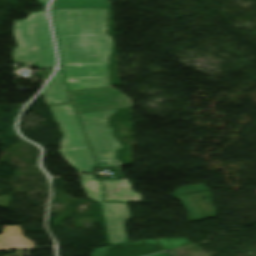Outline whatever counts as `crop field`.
I'll use <instances>...</instances> for the list:
<instances>
[{
  "instance_id": "8a807250",
  "label": "crop field",
  "mask_w": 256,
  "mask_h": 256,
  "mask_svg": "<svg viewBox=\"0 0 256 256\" xmlns=\"http://www.w3.org/2000/svg\"><path fill=\"white\" fill-rule=\"evenodd\" d=\"M68 90L110 86L106 8L52 9Z\"/></svg>"
},
{
  "instance_id": "ac0d7876",
  "label": "crop field",
  "mask_w": 256,
  "mask_h": 256,
  "mask_svg": "<svg viewBox=\"0 0 256 256\" xmlns=\"http://www.w3.org/2000/svg\"><path fill=\"white\" fill-rule=\"evenodd\" d=\"M14 32L18 43L13 49L16 63L37 61L41 69L55 66L45 11L32 12L28 18L15 21Z\"/></svg>"
},
{
  "instance_id": "34b2d1b8",
  "label": "crop field",
  "mask_w": 256,
  "mask_h": 256,
  "mask_svg": "<svg viewBox=\"0 0 256 256\" xmlns=\"http://www.w3.org/2000/svg\"><path fill=\"white\" fill-rule=\"evenodd\" d=\"M114 111L116 109L78 114L93 149L98 167L118 165L116 151L121 146L112 135L113 128L107 124V118ZM98 160L115 161L98 162Z\"/></svg>"
},
{
  "instance_id": "412701ff",
  "label": "crop field",
  "mask_w": 256,
  "mask_h": 256,
  "mask_svg": "<svg viewBox=\"0 0 256 256\" xmlns=\"http://www.w3.org/2000/svg\"><path fill=\"white\" fill-rule=\"evenodd\" d=\"M68 93L77 113L131 106V100L113 87Z\"/></svg>"
},
{
  "instance_id": "f4fd0767",
  "label": "crop field",
  "mask_w": 256,
  "mask_h": 256,
  "mask_svg": "<svg viewBox=\"0 0 256 256\" xmlns=\"http://www.w3.org/2000/svg\"><path fill=\"white\" fill-rule=\"evenodd\" d=\"M61 129L63 150L88 147L75 113L70 104L49 106Z\"/></svg>"
},
{
  "instance_id": "dd49c442",
  "label": "crop field",
  "mask_w": 256,
  "mask_h": 256,
  "mask_svg": "<svg viewBox=\"0 0 256 256\" xmlns=\"http://www.w3.org/2000/svg\"><path fill=\"white\" fill-rule=\"evenodd\" d=\"M206 190L207 192L177 196L176 194ZM179 199L188 211L189 221L216 216V210L211 202V193L204 184L181 187L173 195ZM207 197V199H202Z\"/></svg>"
},
{
  "instance_id": "e52e79f7",
  "label": "crop field",
  "mask_w": 256,
  "mask_h": 256,
  "mask_svg": "<svg viewBox=\"0 0 256 256\" xmlns=\"http://www.w3.org/2000/svg\"><path fill=\"white\" fill-rule=\"evenodd\" d=\"M108 235L112 244L129 242L124 231V223L130 218L125 203L100 202Z\"/></svg>"
},
{
  "instance_id": "d8731c3e",
  "label": "crop field",
  "mask_w": 256,
  "mask_h": 256,
  "mask_svg": "<svg viewBox=\"0 0 256 256\" xmlns=\"http://www.w3.org/2000/svg\"><path fill=\"white\" fill-rule=\"evenodd\" d=\"M163 249L155 240L147 239L93 249L92 256H144Z\"/></svg>"
},
{
  "instance_id": "5a996713",
  "label": "crop field",
  "mask_w": 256,
  "mask_h": 256,
  "mask_svg": "<svg viewBox=\"0 0 256 256\" xmlns=\"http://www.w3.org/2000/svg\"><path fill=\"white\" fill-rule=\"evenodd\" d=\"M101 181L105 189L104 201H142L141 196L131 190L127 179Z\"/></svg>"
},
{
  "instance_id": "3316defc",
  "label": "crop field",
  "mask_w": 256,
  "mask_h": 256,
  "mask_svg": "<svg viewBox=\"0 0 256 256\" xmlns=\"http://www.w3.org/2000/svg\"><path fill=\"white\" fill-rule=\"evenodd\" d=\"M31 247H35L34 243L23 236L21 225L4 226V231L0 235V249Z\"/></svg>"
},
{
  "instance_id": "28ad6ade",
  "label": "crop field",
  "mask_w": 256,
  "mask_h": 256,
  "mask_svg": "<svg viewBox=\"0 0 256 256\" xmlns=\"http://www.w3.org/2000/svg\"><path fill=\"white\" fill-rule=\"evenodd\" d=\"M60 153L78 172H91L92 167L96 165L89 148L60 151Z\"/></svg>"
},
{
  "instance_id": "d1516ede",
  "label": "crop field",
  "mask_w": 256,
  "mask_h": 256,
  "mask_svg": "<svg viewBox=\"0 0 256 256\" xmlns=\"http://www.w3.org/2000/svg\"><path fill=\"white\" fill-rule=\"evenodd\" d=\"M49 104L69 102L66 96L65 88L62 83L61 71L57 70L53 79L43 90Z\"/></svg>"
},
{
  "instance_id": "22f410ed",
  "label": "crop field",
  "mask_w": 256,
  "mask_h": 256,
  "mask_svg": "<svg viewBox=\"0 0 256 256\" xmlns=\"http://www.w3.org/2000/svg\"><path fill=\"white\" fill-rule=\"evenodd\" d=\"M108 0H53L51 8L109 7Z\"/></svg>"
},
{
  "instance_id": "cbeb9de0",
  "label": "crop field",
  "mask_w": 256,
  "mask_h": 256,
  "mask_svg": "<svg viewBox=\"0 0 256 256\" xmlns=\"http://www.w3.org/2000/svg\"><path fill=\"white\" fill-rule=\"evenodd\" d=\"M82 178V185L89 198L97 201H102L103 190L99 179H94L93 174L80 175Z\"/></svg>"
},
{
  "instance_id": "5142ce71",
  "label": "crop field",
  "mask_w": 256,
  "mask_h": 256,
  "mask_svg": "<svg viewBox=\"0 0 256 256\" xmlns=\"http://www.w3.org/2000/svg\"><path fill=\"white\" fill-rule=\"evenodd\" d=\"M161 246L165 249H174L186 245L192 244L190 241H188L186 238H176V239H156Z\"/></svg>"
},
{
  "instance_id": "d9b57169",
  "label": "crop field",
  "mask_w": 256,
  "mask_h": 256,
  "mask_svg": "<svg viewBox=\"0 0 256 256\" xmlns=\"http://www.w3.org/2000/svg\"><path fill=\"white\" fill-rule=\"evenodd\" d=\"M153 256H171V255L165 252V253H161Z\"/></svg>"
},
{
  "instance_id": "733c2abd",
  "label": "crop field",
  "mask_w": 256,
  "mask_h": 256,
  "mask_svg": "<svg viewBox=\"0 0 256 256\" xmlns=\"http://www.w3.org/2000/svg\"><path fill=\"white\" fill-rule=\"evenodd\" d=\"M39 1L46 5L49 0H39Z\"/></svg>"
}]
</instances>
